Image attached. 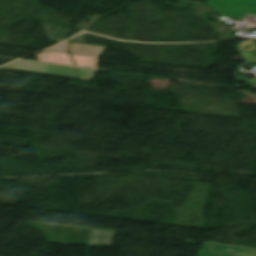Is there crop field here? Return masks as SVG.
<instances>
[{"instance_id":"crop-field-1","label":"crop field","mask_w":256,"mask_h":256,"mask_svg":"<svg viewBox=\"0 0 256 256\" xmlns=\"http://www.w3.org/2000/svg\"><path fill=\"white\" fill-rule=\"evenodd\" d=\"M0 68L75 79V68L71 67L40 64L19 60Z\"/></svg>"},{"instance_id":"crop-field-2","label":"crop field","mask_w":256,"mask_h":256,"mask_svg":"<svg viewBox=\"0 0 256 256\" xmlns=\"http://www.w3.org/2000/svg\"><path fill=\"white\" fill-rule=\"evenodd\" d=\"M198 256H256V250L205 243Z\"/></svg>"},{"instance_id":"crop-field-3","label":"crop field","mask_w":256,"mask_h":256,"mask_svg":"<svg viewBox=\"0 0 256 256\" xmlns=\"http://www.w3.org/2000/svg\"><path fill=\"white\" fill-rule=\"evenodd\" d=\"M70 53L100 57L105 47L71 43Z\"/></svg>"},{"instance_id":"crop-field-4","label":"crop field","mask_w":256,"mask_h":256,"mask_svg":"<svg viewBox=\"0 0 256 256\" xmlns=\"http://www.w3.org/2000/svg\"><path fill=\"white\" fill-rule=\"evenodd\" d=\"M114 234L112 232L94 230L89 245L111 246Z\"/></svg>"},{"instance_id":"crop-field-5","label":"crop field","mask_w":256,"mask_h":256,"mask_svg":"<svg viewBox=\"0 0 256 256\" xmlns=\"http://www.w3.org/2000/svg\"><path fill=\"white\" fill-rule=\"evenodd\" d=\"M95 72L96 70L77 68V79H84V80L91 81Z\"/></svg>"},{"instance_id":"crop-field-6","label":"crop field","mask_w":256,"mask_h":256,"mask_svg":"<svg viewBox=\"0 0 256 256\" xmlns=\"http://www.w3.org/2000/svg\"><path fill=\"white\" fill-rule=\"evenodd\" d=\"M69 47H70V44L67 42H64V43H62L50 50H47V51L68 53Z\"/></svg>"}]
</instances>
